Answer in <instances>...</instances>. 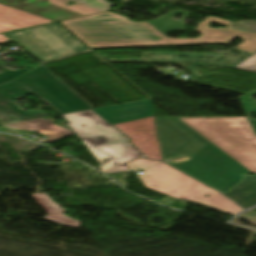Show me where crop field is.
<instances>
[{"label":"crop field","mask_w":256,"mask_h":256,"mask_svg":"<svg viewBox=\"0 0 256 256\" xmlns=\"http://www.w3.org/2000/svg\"><path fill=\"white\" fill-rule=\"evenodd\" d=\"M176 14H182L181 20H173ZM191 12L176 10L163 17L150 21L136 23L132 20L105 12L90 16L61 21L67 29L80 38L87 46L93 47H126L167 44H200L228 43L234 37L243 39L236 48L256 52V33L236 31L231 28V21L209 16L201 22L195 31L201 33L196 39H170L162 33L185 31L184 20ZM211 22L227 25L226 28L207 27ZM159 37L158 39H153Z\"/></svg>","instance_id":"crop-field-1"},{"label":"crop field","mask_w":256,"mask_h":256,"mask_svg":"<svg viewBox=\"0 0 256 256\" xmlns=\"http://www.w3.org/2000/svg\"><path fill=\"white\" fill-rule=\"evenodd\" d=\"M162 161L227 194L250 172L176 118H155Z\"/></svg>","instance_id":"crop-field-2"},{"label":"crop field","mask_w":256,"mask_h":256,"mask_svg":"<svg viewBox=\"0 0 256 256\" xmlns=\"http://www.w3.org/2000/svg\"><path fill=\"white\" fill-rule=\"evenodd\" d=\"M62 117L69 122L70 127L85 142L100 162L99 167L105 174L129 171L126 163L141 156L126 136L92 110L62 115ZM81 124L85 126L81 127ZM105 159L108 161L101 163V160Z\"/></svg>","instance_id":"crop-field-3"},{"label":"crop field","mask_w":256,"mask_h":256,"mask_svg":"<svg viewBox=\"0 0 256 256\" xmlns=\"http://www.w3.org/2000/svg\"><path fill=\"white\" fill-rule=\"evenodd\" d=\"M127 165L131 170L141 168L145 172L138 175V178L149 189L233 215L243 211L223 194L204 186L163 162L137 159ZM205 194L210 197H204Z\"/></svg>","instance_id":"crop-field-4"},{"label":"crop field","mask_w":256,"mask_h":256,"mask_svg":"<svg viewBox=\"0 0 256 256\" xmlns=\"http://www.w3.org/2000/svg\"><path fill=\"white\" fill-rule=\"evenodd\" d=\"M180 119L249 171L256 173V135L246 117Z\"/></svg>","instance_id":"crop-field-5"},{"label":"crop field","mask_w":256,"mask_h":256,"mask_svg":"<svg viewBox=\"0 0 256 256\" xmlns=\"http://www.w3.org/2000/svg\"><path fill=\"white\" fill-rule=\"evenodd\" d=\"M34 94L60 114L92 108L43 65L14 81L0 85V103Z\"/></svg>","instance_id":"crop-field-6"},{"label":"crop field","mask_w":256,"mask_h":256,"mask_svg":"<svg viewBox=\"0 0 256 256\" xmlns=\"http://www.w3.org/2000/svg\"><path fill=\"white\" fill-rule=\"evenodd\" d=\"M5 35L43 62L87 49L58 23L8 32Z\"/></svg>","instance_id":"crop-field-7"},{"label":"crop field","mask_w":256,"mask_h":256,"mask_svg":"<svg viewBox=\"0 0 256 256\" xmlns=\"http://www.w3.org/2000/svg\"><path fill=\"white\" fill-rule=\"evenodd\" d=\"M78 2L73 6H66L68 0H30L28 2H20L19 0H0L6 5L45 16L57 21L90 15L110 10L113 5L105 0H71Z\"/></svg>","instance_id":"crop-field-8"},{"label":"crop field","mask_w":256,"mask_h":256,"mask_svg":"<svg viewBox=\"0 0 256 256\" xmlns=\"http://www.w3.org/2000/svg\"><path fill=\"white\" fill-rule=\"evenodd\" d=\"M131 138V142L149 159L161 161V149L154 117L113 125Z\"/></svg>","instance_id":"crop-field-9"},{"label":"crop field","mask_w":256,"mask_h":256,"mask_svg":"<svg viewBox=\"0 0 256 256\" xmlns=\"http://www.w3.org/2000/svg\"><path fill=\"white\" fill-rule=\"evenodd\" d=\"M94 111L112 124L154 115L152 100L98 108Z\"/></svg>","instance_id":"crop-field-10"},{"label":"crop field","mask_w":256,"mask_h":256,"mask_svg":"<svg viewBox=\"0 0 256 256\" xmlns=\"http://www.w3.org/2000/svg\"><path fill=\"white\" fill-rule=\"evenodd\" d=\"M53 22L0 4V33Z\"/></svg>","instance_id":"crop-field-11"},{"label":"crop field","mask_w":256,"mask_h":256,"mask_svg":"<svg viewBox=\"0 0 256 256\" xmlns=\"http://www.w3.org/2000/svg\"><path fill=\"white\" fill-rule=\"evenodd\" d=\"M6 126L18 130L34 131L37 133H41L43 136L47 137V142L49 143L53 142L54 140H58L74 134L73 131L51 123L43 118L26 122L8 124Z\"/></svg>","instance_id":"crop-field-12"},{"label":"crop field","mask_w":256,"mask_h":256,"mask_svg":"<svg viewBox=\"0 0 256 256\" xmlns=\"http://www.w3.org/2000/svg\"><path fill=\"white\" fill-rule=\"evenodd\" d=\"M227 195L236 200L245 209L256 205V175L248 177Z\"/></svg>","instance_id":"crop-field-13"},{"label":"crop field","mask_w":256,"mask_h":256,"mask_svg":"<svg viewBox=\"0 0 256 256\" xmlns=\"http://www.w3.org/2000/svg\"><path fill=\"white\" fill-rule=\"evenodd\" d=\"M27 118H33V116L21 110L13 101L0 104V120L3 123Z\"/></svg>","instance_id":"crop-field-14"},{"label":"crop field","mask_w":256,"mask_h":256,"mask_svg":"<svg viewBox=\"0 0 256 256\" xmlns=\"http://www.w3.org/2000/svg\"><path fill=\"white\" fill-rule=\"evenodd\" d=\"M33 196L49 214L64 211L56 202H52L45 193L33 194Z\"/></svg>","instance_id":"crop-field-15"},{"label":"crop field","mask_w":256,"mask_h":256,"mask_svg":"<svg viewBox=\"0 0 256 256\" xmlns=\"http://www.w3.org/2000/svg\"><path fill=\"white\" fill-rule=\"evenodd\" d=\"M44 219L60 225L75 227V228H79V223H80V222L78 223L77 220H74L64 214L47 216V217H44Z\"/></svg>","instance_id":"crop-field-16"},{"label":"crop field","mask_w":256,"mask_h":256,"mask_svg":"<svg viewBox=\"0 0 256 256\" xmlns=\"http://www.w3.org/2000/svg\"><path fill=\"white\" fill-rule=\"evenodd\" d=\"M254 94H256V92L240 97L242 106H243L246 114H248L249 111L256 112V100L249 98L250 95H254ZM243 100H245V102H243ZM248 119H249L255 133H256V121L252 120L249 117H248Z\"/></svg>","instance_id":"crop-field-17"},{"label":"crop field","mask_w":256,"mask_h":256,"mask_svg":"<svg viewBox=\"0 0 256 256\" xmlns=\"http://www.w3.org/2000/svg\"><path fill=\"white\" fill-rule=\"evenodd\" d=\"M32 67L33 66L28 65L20 70H10L7 67H5L2 63H0V70L3 72L0 74V84L3 82L9 81V80L17 77L21 73L27 71V70H25V68H28V70H29Z\"/></svg>","instance_id":"crop-field-18"},{"label":"crop field","mask_w":256,"mask_h":256,"mask_svg":"<svg viewBox=\"0 0 256 256\" xmlns=\"http://www.w3.org/2000/svg\"><path fill=\"white\" fill-rule=\"evenodd\" d=\"M237 68L256 72V55L250 57L249 59L238 65Z\"/></svg>","instance_id":"crop-field-19"},{"label":"crop field","mask_w":256,"mask_h":256,"mask_svg":"<svg viewBox=\"0 0 256 256\" xmlns=\"http://www.w3.org/2000/svg\"><path fill=\"white\" fill-rule=\"evenodd\" d=\"M239 216H241L243 218H246L248 220H251L253 222H256V208L251 209V210H249V211H247V212H245V213H243Z\"/></svg>","instance_id":"crop-field-20"},{"label":"crop field","mask_w":256,"mask_h":256,"mask_svg":"<svg viewBox=\"0 0 256 256\" xmlns=\"http://www.w3.org/2000/svg\"><path fill=\"white\" fill-rule=\"evenodd\" d=\"M28 113H30L31 115L35 116L36 118H39V117H43L44 116V113L39 110V109H35L34 111H26ZM35 119V118H33ZM29 120V119H28ZM23 121V120H22ZM18 122V121H17ZM7 124V123H6Z\"/></svg>","instance_id":"crop-field-21"},{"label":"crop field","mask_w":256,"mask_h":256,"mask_svg":"<svg viewBox=\"0 0 256 256\" xmlns=\"http://www.w3.org/2000/svg\"><path fill=\"white\" fill-rule=\"evenodd\" d=\"M9 41V39H7L5 36H3L2 34H0V43Z\"/></svg>","instance_id":"crop-field-22"},{"label":"crop field","mask_w":256,"mask_h":256,"mask_svg":"<svg viewBox=\"0 0 256 256\" xmlns=\"http://www.w3.org/2000/svg\"><path fill=\"white\" fill-rule=\"evenodd\" d=\"M246 220V219H245ZM248 221V220H247ZM250 223H252V224H254V225H256V223H253V222H251V221H249Z\"/></svg>","instance_id":"crop-field-23"}]
</instances>
